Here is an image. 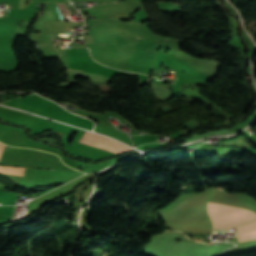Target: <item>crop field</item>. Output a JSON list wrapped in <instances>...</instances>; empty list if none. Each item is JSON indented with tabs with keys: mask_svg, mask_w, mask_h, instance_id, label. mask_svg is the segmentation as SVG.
I'll return each mask as SVG.
<instances>
[{
	"mask_svg": "<svg viewBox=\"0 0 256 256\" xmlns=\"http://www.w3.org/2000/svg\"><path fill=\"white\" fill-rule=\"evenodd\" d=\"M5 145H3V144H1L0 143V157H1V155H2V153H3V151H4V149H5Z\"/></svg>",
	"mask_w": 256,
	"mask_h": 256,
	"instance_id": "5",
	"label": "crop field"
},
{
	"mask_svg": "<svg viewBox=\"0 0 256 256\" xmlns=\"http://www.w3.org/2000/svg\"><path fill=\"white\" fill-rule=\"evenodd\" d=\"M208 208L256 218V211L208 201ZM208 209L214 227L233 228L254 218ZM220 228V229H221Z\"/></svg>",
	"mask_w": 256,
	"mask_h": 256,
	"instance_id": "1",
	"label": "crop field"
},
{
	"mask_svg": "<svg viewBox=\"0 0 256 256\" xmlns=\"http://www.w3.org/2000/svg\"><path fill=\"white\" fill-rule=\"evenodd\" d=\"M80 142L106 149L115 153L131 150L130 148L116 141L89 132L85 133V135L81 138Z\"/></svg>",
	"mask_w": 256,
	"mask_h": 256,
	"instance_id": "2",
	"label": "crop field"
},
{
	"mask_svg": "<svg viewBox=\"0 0 256 256\" xmlns=\"http://www.w3.org/2000/svg\"><path fill=\"white\" fill-rule=\"evenodd\" d=\"M0 172L23 176L24 168L0 166Z\"/></svg>",
	"mask_w": 256,
	"mask_h": 256,
	"instance_id": "4",
	"label": "crop field"
},
{
	"mask_svg": "<svg viewBox=\"0 0 256 256\" xmlns=\"http://www.w3.org/2000/svg\"><path fill=\"white\" fill-rule=\"evenodd\" d=\"M87 47L90 49V51H91V48H90V46L89 45H87ZM92 52V51H91Z\"/></svg>",
	"mask_w": 256,
	"mask_h": 256,
	"instance_id": "6",
	"label": "crop field"
},
{
	"mask_svg": "<svg viewBox=\"0 0 256 256\" xmlns=\"http://www.w3.org/2000/svg\"><path fill=\"white\" fill-rule=\"evenodd\" d=\"M238 241L256 239V221L236 227Z\"/></svg>",
	"mask_w": 256,
	"mask_h": 256,
	"instance_id": "3",
	"label": "crop field"
}]
</instances>
